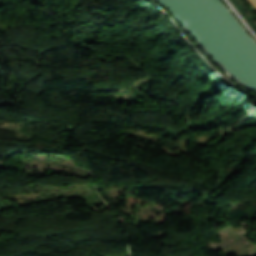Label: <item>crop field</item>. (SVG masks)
Here are the masks:
<instances>
[{
  "mask_svg": "<svg viewBox=\"0 0 256 256\" xmlns=\"http://www.w3.org/2000/svg\"><path fill=\"white\" fill-rule=\"evenodd\" d=\"M251 7H253L254 9H256V0H246Z\"/></svg>",
  "mask_w": 256,
  "mask_h": 256,
  "instance_id": "obj_1",
  "label": "crop field"
}]
</instances>
